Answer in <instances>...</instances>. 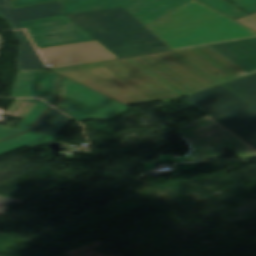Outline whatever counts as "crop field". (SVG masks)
I'll return each instance as SVG.
<instances>
[{
    "label": "crop field",
    "mask_w": 256,
    "mask_h": 256,
    "mask_svg": "<svg viewBox=\"0 0 256 256\" xmlns=\"http://www.w3.org/2000/svg\"><path fill=\"white\" fill-rule=\"evenodd\" d=\"M55 108L77 121L89 118L111 119L128 109L126 105L64 77Z\"/></svg>",
    "instance_id": "f4fd0767"
},
{
    "label": "crop field",
    "mask_w": 256,
    "mask_h": 256,
    "mask_svg": "<svg viewBox=\"0 0 256 256\" xmlns=\"http://www.w3.org/2000/svg\"><path fill=\"white\" fill-rule=\"evenodd\" d=\"M147 27L172 49L256 36V32L196 2Z\"/></svg>",
    "instance_id": "ac0d7876"
},
{
    "label": "crop field",
    "mask_w": 256,
    "mask_h": 256,
    "mask_svg": "<svg viewBox=\"0 0 256 256\" xmlns=\"http://www.w3.org/2000/svg\"><path fill=\"white\" fill-rule=\"evenodd\" d=\"M215 120L239 138L256 133V106Z\"/></svg>",
    "instance_id": "cbeb9de0"
},
{
    "label": "crop field",
    "mask_w": 256,
    "mask_h": 256,
    "mask_svg": "<svg viewBox=\"0 0 256 256\" xmlns=\"http://www.w3.org/2000/svg\"><path fill=\"white\" fill-rule=\"evenodd\" d=\"M70 118L51 108L34 126L33 131L57 135Z\"/></svg>",
    "instance_id": "733c2abd"
},
{
    "label": "crop field",
    "mask_w": 256,
    "mask_h": 256,
    "mask_svg": "<svg viewBox=\"0 0 256 256\" xmlns=\"http://www.w3.org/2000/svg\"><path fill=\"white\" fill-rule=\"evenodd\" d=\"M52 71L126 105L170 102L255 73L256 38Z\"/></svg>",
    "instance_id": "8a807250"
},
{
    "label": "crop field",
    "mask_w": 256,
    "mask_h": 256,
    "mask_svg": "<svg viewBox=\"0 0 256 256\" xmlns=\"http://www.w3.org/2000/svg\"><path fill=\"white\" fill-rule=\"evenodd\" d=\"M236 21L256 30V13L246 16V17H242L239 19H235Z\"/></svg>",
    "instance_id": "92a150f3"
},
{
    "label": "crop field",
    "mask_w": 256,
    "mask_h": 256,
    "mask_svg": "<svg viewBox=\"0 0 256 256\" xmlns=\"http://www.w3.org/2000/svg\"><path fill=\"white\" fill-rule=\"evenodd\" d=\"M178 165H181V167H178ZM197 166V163H189V164H177L176 165V172L173 176L177 175V171H189Z\"/></svg>",
    "instance_id": "dafd665d"
},
{
    "label": "crop field",
    "mask_w": 256,
    "mask_h": 256,
    "mask_svg": "<svg viewBox=\"0 0 256 256\" xmlns=\"http://www.w3.org/2000/svg\"><path fill=\"white\" fill-rule=\"evenodd\" d=\"M200 2L232 19L246 16L241 10L227 2L226 0H195Z\"/></svg>",
    "instance_id": "4a817a6b"
},
{
    "label": "crop field",
    "mask_w": 256,
    "mask_h": 256,
    "mask_svg": "<svg viewBox=\"0 0 256 256\" xmlns=\"http://www.w3.org/2000/svg\"><path fill=\"white\" fill-rule=\"evenodd\" d=\"M245 140H247L251 145L256 147V134L244 137Z\"/></svg>",
    "instance_id": "00972430"
},
{
    "label": "crop field",
    "mask_w": 256,
    "mask_h": 256,
    "mask_svg": "<svg viewBox=\"0 0 256 256\" xmlns=\"http://www.w3.org/2000/svg\"><path fill=\"white\" fill-rule=\"evenodd\" d=\"M21 45L18 46L17 69H47L24 30L14 31Z\"/></svg>",
    "instance_id": "5142ce71"
},
{
    "label": "crop field",
    "mask_w": 256,
    "mask_h": 256,
    "mask_svg": "<svg viewBox=\"0 0 256 256\" xmlns=\"http://www.w3.org/2000/svg\"><path fill=\"white\" fill-rule=\"evenodd\" d=\"M235 153L241 158H256V150L250 145L235 151Z\"/></svg>",
    "instance_id": "214f88e0"
},
{
    "label": "crop field",
    "mask_w": 256,
    "mask_h": 256,
    "mask_svg": "<svg viewBox=\"0 0 256 256\" xmlns=\"http://www.w3.org/2000/svg\"><path fill=\"white\" fill-rule=\"evenodd\" d=\"M61 3L69 14L83 13L120 6L115 0H62Z\"/></svg>",
    "instance_id": "d9b57169"
},
{
    "label": "crop field",
    "mask_w": 256,
    "mask_h": 256,
    "mask_svg": "<svg viewBox=\"0 0 256 256\" xmlns=\"http://www.w3.org/2000/svg\"><path fill=\"white\" fill-rule=\"evenodd\" d=\"M235 3L237 6L245 10L247 13L256 12V0H230Z\"/></svg>",
    "instance_id": "bc2a9ffb"
},
{
    "label": "crop field",
    "mask_w": 256,
    "mask_h": 256,
    "mask_svg": "<svg viewBox=\"0 0 256 256\" xmlns=\"http://www.w3.org/2000/svg\"><path fill=\"white\" fill-rule=\"evenodd\" d=\"M49 106L38 99H16L5 114L23 118L17 128L0 125V140L28 131ZM54 136L29 131L0 142V154L53 141Z\"/></svg>",
    "instance_id": "dd49c442"
},
{
    "label": "crop field",
    "mask_w": 256,
    "mask_h": 256,
    "mask_svg": "<svg viewBox=\"0 0 256 256\" xmlns=\"http://www.w3.org/2000/svg\"><path fill=\"white\" fill-rule=\"evenodd\" d=\"M11 3V0H0V18L13 29L22 28L19 22L68 14L60 1L13 10H10Z\"/></svg>",
    "instance_id": "28ad6ade"
},
{
    "label": "crop field",
    "mask_w": 256,
    "mask_h": 256,
    "mask_svg": "<svg viewBox=\"0 0 256 256\" xmlns=\"http://www.w3.org/2000/svg\"><path fill=\"white\" fill-rule=\"evenodd\" d=\"M48 69L116 59L96 41L37 50Z\"/></svg>",
    "instance_id": "d8731c3e"
},
{
    "label": "crop field",
    "mask_w": 256,
    "mask_h": 256,
    "mask_svg": "<svg viewBox=\"0 0 256 256\" xmlns=\"http://www.w3.org/2000/svg\"><path fill=\"white\" fill-rule=\"evenodd\" d=\"M60 76L46 70H18L12 97H40L53 104Z\"/></svg>",
    "instance_id": "5a996713"
},
{
    "label": "crop field",
    "mask_w": 256,
    "mask_h": 256,
    "mask_svg": "<svg viewBox=\"0 0 256 256\" xmlns=\"http://www.w3.org/2000/svg\"><path fill=\"white\" fill-rule=\"evenodd\" d=\"M176 133L191 146L192 151L189 155L176 158L171 155H161L160 161L151 160L149 164L143 163L146 170H154V162L209 160L225 155L226 150L235 151L248 145L207 115L176 130Z\"/></svg>",
    "instance_id": "412701ff"
},
{
    "label": "crop field",
    "mask_w": 256,
    "mask_h": 256,
    "mask_svg": "<svg viewBox=\"0 0 256 256\" xmlns=\"http://www.w3.org/2000/svg\"><path fill=\"white\" fill-rule=\"evenodd\" d=\"M191 103L213 119L252 107L229 90Z\"/></svg>",
    "instance_id": "d1516ede"
},
{
    "label": "crop field",
    "mask_w": 256,
    "mask_h": 256,
    "mask_svg": "<svg viewBox=\"0 0 256 256\" xmlns=\"http://www.w3.org/2000/svg\"><path fill=\"white\" fill-rule=\"evenodd\" d=\"M56 0H13L11 9ZM146 26L190 0H116Z\"/></svg>",
    "instance_id": "3316defc"
},
{
    "label": "crop field",
    "mask_w": 256,
    "mask_h": 256,
    "mask_svg": "<svg viewBox=\"0 0 256 256\" xmlns=\"http://www.w3.org/2000/svg\"><path fill=\"white\" fill-rule=\"evenodd\" d=\"M123 8L67 17L118 58L172 50Z\"/></svg>",
    "instance_id": "34b2d1b8"
},
{
    "label": "crop field",
    "mask_w": 256,
    "mask_h": 256,
    "mask_svg": "<svg viewBox=\"0 0 256 256\" xmlns=\"http://www.w3.org/2000/svg\"><path fill=\"white\" fill-rule=\"evenodd\" d=\"M227 89L231 90L251 105H256V74L204 90L184 98L191 102Z\"/></svg>",
    "instance_id": "22f410ed"
},
{
    "label": "crop field",
    "mask_w": 256,
    "mask_h": 256,
    "mask_svg": "<svg viewBox=\"0 0 256 256\" xmlns=\"http://www.w3.org/2000/svg\"><path fill=\"white\" fill-rule=\"evenodd\" d=\"M66 16L52 17L20 23L26 28L38 49L94 40L75 23L33 28L68 22Z\"/></svg>",
    "instance_id": "e52e79f7"
}]
</instances>
